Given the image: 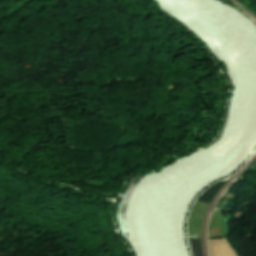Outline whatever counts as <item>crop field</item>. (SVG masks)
<instances>
[{
  "mask_svg": "<svg viewBox=\"0 0 256 256\" xmlns=\"http://www.w3.org/2000/svg\"><path fill=\"white\" fill-rule=\"evenodd\" d=\"M225 183L222 181L212 185L209 189H207L198 199L197 201L211 204L219 190L223 187Z\"/></svg>",
  "mask_w": 256,
  "mask_h": 256,
  "instance_id": "crop-field-1",
  "label": "crop field"
},
{
  "mask_svg": "<svg viewBox=\"0 0 256 256\" xmlns=\"http://www.w3.org/2000/svg\"><path fill=\"white\" fill-rule=\"evenodd\" d=\"M197 239V238H195ZM195 239H189L192 256H203L202 254V247H201V241L195 240Z\"/></svg>",
  "mask_w": 256,
  "mask_h": 256,
  "instance_id": "crop-field-2",
  "label": "crop field"
}]
</instances>
